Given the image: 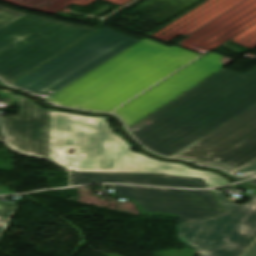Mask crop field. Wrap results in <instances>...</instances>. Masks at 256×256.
<instances>
[{
    "label": "crop field",
    "instance_id": "obj_14",
    "mask_svg": "<svg viewBox=\"0 0 256 256\" xmlns=\"http://www.w3.org/2000/svg\"><path fill=\"white\" fill-rule=\"evenodd\" d=\"M15 204L0 202V221L8 222Z\"/></svg>",
    "mask_w": 256,
    "mask_h": 256
},
{
    "label": "crop field",
    "instance_id": "obj_12",
    "mask_svg": "<svg viewBox=\"0 0 256 256\" xmlns=\"http://www.w3.org/2000/svg\"><path fill=\"white\" fill-rule=\"evenodd\" d=\"M248 236H227L223 247L202 251V256H240L256 237V212H245Z\"/></svg>",
    "mask_w": 256,
    "mask_h": 256
},
{
    "label": "crop field",
    "instance_id": "obj_1",
    "mask_svg": "<svg viewBox=\"0 0 256 256\" xmlns=\"http://www.w3.org/2000/svg\"><path fill=\"white\" fill-rule=\"evenodd\" d=\"M256 105V68L222 70L140 122L133 134L170 156Z\"/></svg>",
    "mask_w": 256,
    "mask_h": 256
},
{
    "label": "crop field",
    "instance_id": "obj_8",
    "mask_svg": "<svg viewBox=\"0 0 256 256\" xmlns=\"http://www.w3.org/2000/svg\"><path fill=\"white\" fill-rule=\"evenodd\" d=\"M233 60L210 52L143 95L123 107L117 108L118 110L113 113L122 117L126 126H130L181 92L222 69Z\"/></svg>",
    "mask_w": 256,
    "mask_h": 256
},
{
    "label": "crop field",
    "instance_id": "obj_3",
    "mask_svg": "<svg viewBox=\"0 0 256 256\" xmlns=\"http://www.w3.org/2000/svg\"><path fill=\"white\" fill-rule=\"evenodd\" d=\"M49 159L66 146L81 151L75 171L162 173L203 178L209 187L229 184L224 177L186 165L158 161L130 150L108 125L109 117H91L49 110Z\"/></svg>",
    "mask_w": 256,
    "mask_h": 256
},
{
    "label": "crop field",
    "instance_id": "obj_4",
    "mask_svg": "<svg viewBox=\"0 0 256 256\" xmlns=\"http://www.w3.org/2000/svg\"><path fill=\"white\" fill-rule=\"evenodd\" d=\"M97 31L0 6V77L11 84Z\"/></svg>",
    "mask_w": 256,
    "mask_h": 256
},
{
    "label": "crop field",
    "instance_id": "obj_11",
    "mask_svg": "<svg viewBox=\"0 0 256 256\" xmlns=\"http://www.w3.org/2000/svg\"><path fill=\"white\" fill-rule=\"evenodd\" d=\"M72 185L85 183H134L156 186L204 188L208 187L203 179L162 175V174H130V173H71Z\"/></svg>",
    "mask_w": 256,
    "mask_h": 256
},
{
    "label": "crop field",
    "instance_id": "obj_18",
    "mask_svg": "<svg viewBox=\"0 0 256 256\" xmlns=\"http://www.w3.org/2000/svg\"><path fill=\"white\" fill-rule=\"evenodd\" d=\"M242 256H256V241Z\"/></svg>",
    "mask_w": 256,
    "mask_h": 256
},
{
    "label": "crop field",
    "instance_id": "obj_5",
    "mask_svg": "<svg viewBox=\"0 0 256 256\" xmlns=\"http://www.w3.org/2000/svg\"><path fill=\"white\" fill-rule=\"evenodd\" d=\"M138 41L104 27L12 85L50 96Z\"/></svg>",
    "mask_w": 256,
    "mask_h": 256
},
{
    "label": "crop field",
    "instance_id": "obj_10",
    "mask_svg": "<svg viewBox=\"0 0 256 256\" xmlns=\"http://www.w3.org/2000/svg\"><path fill=\"white\" fill-rule=\"evenodd\" d=\"M8 144L25 154L48 158V110L19 96L18 117L1 116Z\"/></svg>",
    "mask_w": 256,
    "mask_h": 256
},
{
    "label": "crop field",
    "instance_id": "obj_16",
    "mask_svg": "<svg viewBox=\"0 0 256 256\" xmlns=\"http://www.w3.org/2000/svg\"><path fill=\"white\" fill-rule=\"evenodd\" d=\"M240 173L244 174L243 176H248V175L256 174V163H254L253 165H251L248 168L244 169Z\"/></svg>",
    "mask_w": 256,
    "mask_h": 256
},
{
    "label": "crop field",
    "instance_id": "obj_21",
    "mask_svg": "<svg viewBox=\"0 0 256 256\" xmlns=\"http://www.w3.org/2000/svg\"><path fill=\"white\" fill-rule=\"evenodd\" d=\"M0 138L4 139L1 126H0Z\"/></svg>",
    "mask_w": 256,
    "mask_h": 256
},
{
    "label": "crop field",
    "instance_id": "obj_17",
    "mask_svg": "<svg viewBox=\"0 0 256 256\" xmlns=\"http://www.w3.org/2000/svg\"><path fill=\"white\" fill-rule=\"evenodd\" d=\"M252 207H244L245 211H256V194H250Z\"/></svg>",
    "mask_w": 256,
    "mask_h": 256
},
{
    "label": "crop field",
    "instance_id": "obj_20",
    "mask_svg": "<svg viewBox=\"0 0 256 256\" xmlns=\"http://www.w3.org/2000/svg\"><path fill=\"white\" fill-rule=\"evenodd\" d=\"M6 224L5 223H0V235L3 231V229L5 228Z\"/></svg>",
    "mask_w": 256,
    "mask_h": 256
},
{
    "label": "crop field",
    "instance_id": "obj_22",
    "mask_svg": "<svg viewBox=\"0 0 256 256\" xmlns=\"http://www.w3.org/2000/svg\"><path fill=\"white\" fill-rule=\"evenodd\" d=\"M249 184H254V185H256V180L249 182Z\"/></svg>",
    "mask_w": 256,
    "mask_h": 256
},
{
    "label": "crop field",
    "instance_id": "obj_7",
    "mask_svg": "<svg viewBox=\"0 0 256 256\" xmlns=\"http://www.w3.org/2000/svg\"><path fill=\"white\" fill-rule=\"evenodd\" d=\"M115 197L137 200L143 211L178 214L177 223L221 213L211 190L113 185ZM176 223V224H177Z\"/></svg>",
    "mask_w": 256,
    "mask_h": 256
},
{
    "label": "crop field",
    "instance_id": "obj_13",
    "mask_svg": "<svg viewBox=\"0 0 256 256\" xmlns=\"http://www.w3.org/2000/svg\"><path fill=\"white\" fill-rule=\"evenodd\" d=\"M70 148L66 147L65 150L58 151L59 165L63 166L68 171H74V163L81 152L75 150L74 154H68Z\"/></svg>",
    "mask_w": 256,
    "mask_h": 256
},
{
    "label": "crop field",
    "instance_id": "obj_2",
    "mask_svg": "<svg viewBox=\"0 0 256 256\" xmlns=\"http://www.w3.org/2000/svg\"><path fill=\"white\" fill-rule=\"evenodd\" d=\"M165 45L144 38L47 98L52 103L87 110L115 109L200 55L179 58Z\"/></svg>",
    "mask_w": 256,
    "mask_h": 256
},
{
    "label": "crop field",
    "instance_id": "obj_15",
    "mask_svg": "<svg viewBox=\"0 0 256 256\" xmlns=\"http://www.w3.org/2000/svg\"><path fill=\"white\" fill-rule=\"evenodd\" d=\"M165 51L170 52V53H172L174 55H177V56L181 57L185 53H187L189 50H185V49L173 46V47H171V48H169V49H167Z\"/></svg>",
    "mask_w": 256,
    "mask_h": 256
},
{
    "label": "crop field",
    "instance_id": "obj_9",
    "mask_svg": "<svg viewBox=\"0 0 256 256\" xmlns=\"http://www.w3.org/2000/svg\"><path fill=\"white\" fill-rule=\"evenodd\" d=\"M225 213L176 225L181 242L199 251L227 244L226 235H247L243 206L230 202L220 192H216Z\"/></svg>",
    "mask_w": 256,
    "mask_h": 256
},
{
    "label": "crop field",
    "instance_id": "obj_6",
    "mask_svg": "<svg viewBox=\"0 0 256 256\" xmlns=\"http://www.w3.org/2000/svg\"><path fill=\"white\" fill-rule=\"evenodd\" d=\"M172 156L233 174L243 170L256 162V106Z\"/></svg>",
    "mask_w": 256,
    "mask_h": 256
},
{
    "label": "crop field",
    "instance_id": "obj_19",
    "mask_svg": "<svg viewBox=\"0 0 256 256\" xmlns=\"http://www.w3.org/2000/svg\"><path fill=\"white\" fill-rule=\"evenodd\" d=\"M0 95L10 98V101H12V102H18V96L16 95L15 97H12V94L10 92H1L0 91Z\"/></svg>",
    "mask_w": 256,
    "mask_h": 256
}]
</instances>
